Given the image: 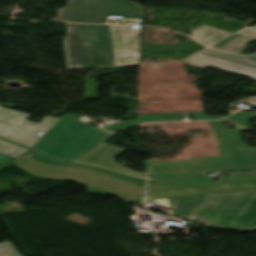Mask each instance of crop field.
<instances>
[{
  "instance_id": "obj_19",
  "label": "crop field",
  "mask_w": 256,
  "mask_h": 256,
  "mask_svg": "<svg viewBox=\"0 0 256 256\" xmlns=\"http://www.w3.org/2000/svg\"><path fill=\"white\" fill-rule=\"evenodd\" d=\"M231 178L235 179H251L256 178V171H247V172H235L230 173Z\"/></svg>"
},
{
  "instance_id": "obj_20",
  "label": "crop field",
  "mask_w": 256,
  "mask_h": 256,
  "mask_svg": "<svg viewBox=\"0 0 256 256\" xmlns=\"http://www.w3.org/2000/svg\"><path fill=\"white\" fill-rule=\"evenodd\" d=\"M236 34L242 35L244 37L250 38L252 40H256V30L245 28L237 32Z\"/></svg>"
},
{
  "instance_id": "obj_10",
  "label": "crop field",
  "mask_w": 256,
  "mask_h": 256,
  "mask_svg": "<svg viewBox=\"0 0 256 256\" xmlns=\"http://www.w3.org/2000/svg\"><path fill=\"white\" fill-rule=\"evenodd\" d=\"M183 116H194L196 120L206 119L204 112L194 113H166V114H144L137 115V120H129L103 128L109 132L136 125L142 122L175 121L183 120Z\"/></svg>"
},
{
  "instance_id": "obj_6",
  "label": "crop field",
  "mask_w": 256,
  "mask_h": 256,
  "mask_svg": "<svg viewBox=\"0 0 256 256\" xmlns=\"http://www.w3.org/2000/svg\"><path fill=\"white\" fill-rule=\"evenodd\" d=\"M107 15L141 17L142 7L124 0H69L68 7L59 10L58 20L106 23Z\"/></svg>"
},
{
  "instance_id": "obj_14",
  "label": "crop field",
  "mask_w": 256,
  "mask_h": 256,
  "mask_svg": "<svg viewBox=\"0 0 256 256\" xmlns=\"http://www.w3.org/2000/svg\"><path fill=\"white\" fill-rule=\"evenodd\" d=\"M214 134L220 135L224 143L242 141L240 132L244 129L236 127V129H229L223 127L221 121H208Z\"/></svg>"
},
{
  "instance_id": "obj_13",
  "label": "crop field",
  "mask_w": 256,
  "mask_h": 256,
  "mask_svg": "<svg viewBox=\"0 0 256 256\" xmlns=\"http://www.w3.org/2000/svg\"><path fill=\"white\" fill-rule=\"evenodd\" d=\"M251 41L252 40L250 39L234 34L210 47L238 53L244 50L246 47V44Z\"/></svg>"
},
{
  "instance_id": "obj_9",
  "label": "crop field",
  "mask_w": 256,
  "mask_h": 256,
  "mask_svg": "<svg viewBox=\"0 0 256 256\" xmlns=\"http://www.w3.org/2000/svg\"><path fill=\"white\" fill-rule=\"evenodd\" d=\"M184 64L190 65L193 67H197L202 69L203 67H211L239 75H243L246 77L254 78L256 79V68L227 61L224 59L204 55V54H196L186 60L183 61Z\"/></svg>"
},
{
  "instance_id": "obj_22",
  "label": "crop field",
  "mask_w": 256,
  "mask_h": 256,
  "mask_svg": "<svg viewBox=\"0 0 256 256\" xmlns=\"http://www.w3.org/2000/svg\"><path fill=\"white\" fill-rule=\"evenodd\" d=\"M215 137H216V139H217L218 144H219V145L222 144V141H221L220 137H219V136H215Z\"/></svg>"
},
{
  "instance_id": "obj_21",
  "label": "crop field",
  "mask_w": 256,
  "mask_h": 256,
  "mask_svg": "<svg viewBox=\"0 0 256 256\" xmlns=\"http://www.w3.org/2000/svg\"><path fill=\"white\" fill-rule=\"evenodd\" d=\"M224 117H226V116H212V117H207V119H221Z\"/></svg>"
},
{
  "instance_id": "obj_1",
  "label": "crop field",
  "mask_w": 256,
  "mask_h": 256,
  "mask_svg": "<svg viewBox=\"0 0 256 256\" xmlns=\"http://www.w3.org/2000/svg\"><path fill=\"white\" fill-rule=\"evenodd\" d=\"M219 147L222 156L182 161H144L146 171L143 174L137 173L127 167L117 165L118 163L116 164L113 158L127 149L106 143H103L96 151L77 163L108 168L132 175L136 178L155 182L198 186L211 184L210 179L205 174L208 170L230 169L234 171L256 169V149H243L242 142L223 144Z\"/></svg>"
},
{
  "instance_id": "obj_15",
  "label": "crop field",
  "mask_w": 256,
  "mask_h": 256,
  "mask_svg": "<svg viewBox=\"0 0 256 256\" xmlns=\"http://www.w3.org/2000/svg\"><path fill=\"white\" fill-rule=\"evenodd\" d=\"M200 53H204V54H208V55H212V56H216V57H220V58H224V59H228V60H232V61H236V62H240V63H244V64H248V65L256 67V61L250 60L247 57L226 54V53L218 52V51H213L209 48L201 51Z\"/></svg>"
},
{
  "instance_id": "obj_16",
  "label": "crop field",
  "mask_w": 256,
  "mask_h": 256,
  "mask_svg": "<svg viewBox=\"0 0 256 256\" xmlns=\"http://www.w3.org/2000/svg\"><path fill=\"white\" fill-rule=\"evenodd\" d=\"M256 118V112L238 113L228 118V120L235 122L238 125L250 128L248 125V119Z\"/></svg>"
},
{
  "instance_id": "obj_18",
  "label": "crop field",
  "mask_w": 256,
  "mask_h": 256,
  "mask_svg": "<svg viewBox=\"0 0 256 256\" xmlns=\"http://www.w3.org/2000/svg\"><path fill=\"white\" fill-rule=\"evenodd\" d=\"M88 98H97V79L88 78Z\"/></svg>"
},
{
  "instance_id": "obj_12",
  "label": "crop field",
  "mask_w": 256,
  "mask_h": 256,
  "mask_svg": "<svg viewBox=\"0 0 256 256\" xmlns=\"http://www.w3.org/2000/svg\"><path fill=\"white\" fill-rule=\"evenodd\" d=\"M28 150V148L0 138V164L11 162L14 158Z\"/></svg>"
},
{
  "instance_id": "obj_7",
  "label": "crop field",
  "mask_w": 256,
  "mask_h": 256,
  "mask_svg": "<svg viewBox=\"0 0 256 256\" xmlns=\"http://www.w3.org/2000/svg\"><path fill=\"white\" fill-rule=\"evenodd\" d=\"M28 117L29 114L0 107V137L32 148L42 138L37 134L45 133L57 120L45 116L37 124L26 121Z\"/></svg>"
},
{
  "instance_id": "obj_8",
  "label": "crop field",
  "mask_w": 256,
  "mask_h": 256,
  "mask_svg": "<svg viewBox=\"0 0 256 256\" xmlns=\"http://www.w3.org/2000/svg\"><path fill=\"white\" fill-rule=\"evenodd\" d=\"M256 189V180H220L215 185L206 188L178 187L148 183L146 199H158L177 196L212 194L221 192L241 191Z\"/></svg>"
},
{
  "instance_id": "obj_2",
  "label": "crop field",
  "mask_w": 256,
  "mask_h": 256,
  "mask_svg": "<svg viewBox=\"0 0 256 256\" xmlns=\"http://www.w3.org/2000/svg\"><path fill=\"white\" fill-rule=\"evenodd\" d=\"M67 69L139 64L141 29L66 23Z\"/></svg>"
},
{
  "instance_id": "obj_11",
  "label": "crop field",
  "mask_w": 256,
  "mask_h": 256,
  "mask_svg": "<svg viewBox=\"0 0 256 256\" xmlns=\"http://www.w3.org/2000/svg\"><path fill=\"white\" fill-rule=\"evenodd\" d=\"M229 34L231 33L207 25H202L191 31V37L207 46Z\"/></svg>"
},
{
  "instance_id": "obj_4",
  "label": "crop field",
  "mask_w": 256,
  "mask_h": 256,
  "mask_svg": "<svg viewBox=\"0 0 256 256\" xmlns=\"http://www.w3.org/2000/svg\"><path fill=\"white\" fill-rule=\"evenodd\" d=\"M180 197L152 200L174 208ZM209 227L256 231V190L207 195L188 217Z\"/></svg>"
},
{
  "instance_id": "obj_5",
  "label": "crop field",
  "mask_w": 256,
  "mask_h": 256,
  "mask_svg": "<svg viewBox=\"0 0 256 256\" xmlns=\"http://www.w3.org/2000/svg\"><path fill=\"white\" fill-rule=\"evenodd\" d=\"M108 134L66 114L32 149L73 162L95 149Z\"/></svg>"
},
{
  "instance_id": "obj_3",
  "label": "crop field",
  "mask_w": 256,
  "mask_h": 256,
  "mask_svg": "<svg viewBox=\"0 0 256 256\" xmlns=\"http://www.w3.org/2000/svg\"><path fill=\"white\" fill-rule=\"evenodd\" d=\"M35 177L71 180L92 192L116 195L132 201L143 199L145 181L89 166L55 161L30 150L11 162Z\"/></svg>"
},
{
  "instance_id": "obj_23",
  "label": "crop field",
  "mask_w": 256,
  "mask_h": 256,
  "mask_svg": "<svg viewBox=\"0 0 256 256\" xmlns=\"http://www.w3.org/2000/svg\"><path fill=\"white\" fill-rule=\"evenodd\" d=\"M253 28H256V26H254Z\"/></svg>"
},
{
  "instance_id": "obj_17",
  "label": "crop field",
  "mask_w": 256,
  "mask_h": 256,
  "mask_svg": "<svg viewBox=\"0 0 256 256\" xmlns=\"http://www.w3.org/2000/svg\"><path fill=\"white\" fill-rule=\"evenodd\" d=\"M0 256H22L20 255L10 241L0 244Z\"/></svg>"
}]
</instances>
